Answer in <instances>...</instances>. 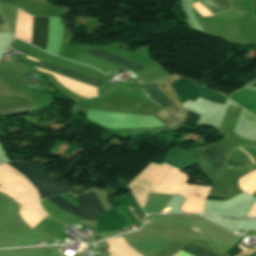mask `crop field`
Segmentation results:
<instances>
[{
    "label": "crop field",
    "mask_w": 256,
    "mask_h": 256,
    "mask_svg": "<svg viewBox=\"0 0 256 256\" xmlns=\"http://www.w3.org/2000/svg\"><path fill=\"white\" fill-rule=\"evenodd\" d=\"M188 176L174 167L152 190L154 193L175 195L186 198L181 210L185 213H202L206 196L211 189L208 186L185 184Z\"/></svg>",
    "instance_id": "8a807250"
},
{
    "label": "crop field",
    "mask_w": 256,
    "mask_h": 256,
    "mask_svg": "<svg viewBox=\"0 0 256 256\" xmlns=\"http://www.w3.org/2000/svg\"><path fill=\"white\" fill-rule=\"evenodd\" d=\"M31 163V162H30ZM25 161L9 162L10 166L22 173L38 190L40 199L62 194L66 191L52 184L50 175H46L49 166L30 164Z\"/></svg>",
    "instance_id": "ac0d7876"
},
{
    "label": "crop field",
    "mask_w": 256,
    "mask_h": 256,
    "mask_svg": "<svg viewBox=\"0 0 256 256\" xmlns=\"http://www.w3.org/2000/svg\"><path fill=\"white\" fill-rule=\"evenodd\" d=\"M141 85L147 92V94L150 96V98L156 103H158L162 108L165 106L172 105V103L158 90V87L155 83H141ZM152 116H154L156 119H158L171 130L183 126L190 119L187 115L179 112L174 105L166 107L164 109H160Z\"/></svg>",
    "instance_id": "34b2d1b8"
},
{
    "label": "crop field",
    "mask_w": 256,
    "mask_h": 256,
    "mask_svg": "<svg viewBox=\"0 0 256 256\" xmlns=\"http://www.w3.org/2000/svg\"><path fill=\"white\" fill-rule=\"evenodd\" d=\"M171 87L175 90L181 103L188 99L195 101L198 97L222 105L226 100V98L222 97L223 95L221 96L213 91L205 89L187 79H181L171 85Z\"/></svg>",
    "instance_id": "412701ff"
},
{
    "label": "crop field",
    "mask_w": 256,
    "mask_h": 256,
    "mask_svg": "<svg viewBox=\"0 0 256 256\" xmlns=\"http://www.w3.org/2000/svg\"><path fill=\"white\" fill-rule=\"evenodd\" d=\"M77 199L80 215L83 219L96 221L98 216L104 212L102 205L93 192L78 196Z\"/></svg>",
    "instance_id": "f4fd0767"
},
{
    "label": "crop field",
    "mask_w": 256,
    "mask_h": 256,
    "mask_svg": "<svg viewBox=\"0 0 256 256\" xmlns=\"http://www.w3.org/2000/svg\"><path fill=\"white\" fill-rule=\"evenodd\" d=\"M31 65L36 67V68H40V69H43V70H46V71H50V72L65 76L67 78H70L74 81H77V82H80V83H83V84H87V85H90V86H93V87H96V88H98V86L100 84V81H98V80H95V79L89 78L87 76L69 71L67 69L52 65V64L44 62V61H39V62H36L34 64H31Z\"/></svg>",
    "instance_id": "dd49c442"
},
{
    "label": "crop field",
    "mask_w": 256,
    "mask_h": 256,
    "mask_svg": "<svg viewBox=\"0 0 256 256\" xmlns=\"http://www.w3.org/2000/svg\"><path fill=\"white\" fill-rule=\"evenodd\" d=\"M25 101H26L25 98L0 96V104H3V105H12L16 103L25 102ZM3 105H0V115L21 114V113H27L34 110L29 102L12 105V106H3Z\"/></svg>",
    "instance_id": "e52e79f7"
},
{
    "label": "crop field",
    "mask_w": 256,
    "mask_h": 256,
    "mask_svg": "<svg viewBox=\"0 0 256 256\" xmlns=\"http://www.w3.org/2000/svg\"><path fill=\"white\" fill-rule=\"evenodd\" d=\"M48 18H34L32 44L45 50L48 37Z\"/></svg>",
    "instance_id": "d8731c3e"
},
{
    "label": "crop field",
    "mask_w": 256,
    "mask_h": 256,
    "mask_svg": "<svg viewBox=\"0 0 256 256\" xmlns=\"http://www.w3.org/2000/svg\"><path fill=\"white\" fill-rule=\"evenodd\" d=\"M228 98L249 110L256 116V92L243 89Z\"/></svg>",
    "instance_id": "5a996713"
},
{
    "label": "crop field",
    "mask_w": 256,
    "mask_h": 256,
    "mask_svg": "<svg viewBox=\"0 0 256 256\" xmlns=\"http://www.w3.org/2000/svg\"><path fill=\"white\" fill-rule=\"evenodd\" d=\"M88 53H90L92 55H95L97 57H100V58H102L104 60L110 61L112 63L124 66V67L129 68V69H132V70L139 71V70L143 69V67H141V66H139V65H137L135 63H132L130 61L121 59L119 57L110 55V54L102 52L100 50H95V51H91V52H88Z\"/></svg>",
    "instance_id": "3316defc"
},
{
    "label": "crop field",
    "mask_w": 256,
    "mask_h": 256,
    "mask_svg": "<svg viewBox=\"0 0 256 256\" xmlns=\"http://www.w3.org/2000/svg\"><path fill=\"white\" fill-rule=\"evenodd\" d=\"M204 151L214 168L219 169L225 166L224 165L225 159L222 153L220 152L218 146L205 149Z\"/></svg>",
    "instance_id": "28ad6ade"
},
{
    "label": "crop field",
    "mask_w": 256,
    "mask_h": 256,
    "mask_svg": "<svg viewBox=\"0 0 256 256\" xmlns=\"http://www.w3.org/2000/svg\"><path fill=\"white\" fill-rule=\"evenodd\" d=\"M206 8H208L213 14L220 10L228 9L230 3L228 0H198Z\"/></svg>",
    "instance_id": "d1516ede"
},
{
    "label": "crop field",
    "mask_w": 256,
    "mask_h": 256,
    "mask_svg": "<svg viewBox=\"0 0 256 256\" xmlns=\"http://www.w3.org/2000/svg\"><path fill=\"white\" fill-rule=\"evenodd\" d=\"M50 201H52L54 204H56L58 207H60L62 210L79 216V210L78 207L74 206L73 204L69 203L68 201L64 200L63 198L56 196L52 198H48ZM80 217V216H79Z\"/></svg>",
    "instance_id": "22f410ed"
},
{
    "label": "crop field",
    "mask_w": 256,
    "mask_h": 256,
    "mask_svg": "<svg viewBox=\"0 0 256 256\" xmlns=\"http://www.w3.org/2000/svg\"><path fill=\"white\" fill-rule=\"evenodd\" d=\"M24 81L25 83L30 87H35V86H38L40 84H43L44 82L39 78L37 77L32 71L29 72V73H26L22 76H20Z\"/></svg>",
    "instance_id": "cbeb9de0"
},
{
    "label": "crop field",
    "mask_w": 256,
    "mask_h": 256,
    "mask_svg": "<svg viewBox=\"0 0 256 256\" xmlns=\"http://www.w3.org/2000/svg\"><path fill=\"white\" fill-rule=\"evenodd\" d=\"M182 251L190 254V255H193V256H214L206 251H203L195 246H192L190 244H188L186 247H184L182 249Z\"/></svg>",
    "instance_id": "5142ce71"
},
{
    "label": "crop field",
    "mask_w": 256,
    "mask_h": 256,
    "mask_svg": "<svg viewBox=\"0 0 256 256\" xmlns=\"http://www.w3.org/2000/svg\"><path fill=\"white\" fill-rule=\"evenodd\" d=\"M241 118H243L244 120H246L248 123H250L252 126L256 127V120L254 119V117L249 114L247 111L242 110L240 116Z\"/></svg>",
    "instance_id": "d9b57169"
},
{
    "label": "crop field",
    "mask_w": 256,
    "mask_h": 256,
    "mask_svg": "<svg viewBox=\"0 0 256 256\" xmlns=\"http://www.w3.org/2000/svg\"><path fill=\"white\" fill-rule=\"evenodd\" d=\"M238 149H240V148H238ZM241 150V149H240ZM242 152H244L243 150H241ZM245 153V152H244ZM245 154H247V153H245ZM250 158H251V160H252V162L253 163H255V161L253 160V158L251 157V155H249V154H247Z\"/></svg>",
    "instance_id": "733c2abd"
},
{
    "label": "crop field",
    "mask_w": 256,
    "mask_h": 256,
    "mask_svg": "<svg viewBox=\"0 0 256 256\" xmlns=\"http://www.w3.org/2000/svg\"><path fill=\"white\" fill-rule=\"evenodd\" d=\"M227 161H232V162H243L242 160H227Z\"/></svg>",
    "instance_id": "4a817a6b"
},
{
    "label": "crop field",
    "mask_w": 256,
    "mask_h": 256,
    "mask_svg": "<svg viewBox=\"0 0 256 256\" xmlns=\"http://www.w3.org/2000/svg\"><path fill=\"white\" fill-rule=\"evenodd\" d=\"M26 58H29V59H33V60L39 61V60H37V59L31 58V57H28V56H26Z\"/></svg>",
    "instance_id": "bc2a9ffb"
},
{
    "label": "crop field",
    "mask_w": 256,
    "mask_h": 256,
    "mask_svg": "<svg viewBox=\"0 0 256 256\" xmlns=\"http://www.w3.org/2000/svg\"><path fill=\"white\" fill-rule=\"evenodd\" d=\"M0 23H4V22H3V20H2V17H1V15H0Z\"/></svg>",
    "instance_id": "214f88e0"
},
{
    "label": "crop field",
    "mask_w": 256,
    "mask_h": 256,
    "mask_svg": "<svg viewBox=\"0 0 256 256\" xmlns=\"http://www.w3.org/2000/svg\"><path fill=\"white\" fill-rule=\"evenodd\" d=\"M251 256H256V252H254Z\"/></svg>",
    "instance_id": "92a150f3"
},
{
    "label": "crop field",
    "mask_w": 256,
    "mask_h": 256,
    "mask_svg": "<svg viewBox=\"0 0 256 256\" xmlns=\"http://www.w3.org/2000/svg\"><path fill=\"white\" fill-rule=\"evenodd\" d=\"M254 87H256V85H254Z\"/></svg>",
    "instance_id": "dafd665d"
}]
</instances>
